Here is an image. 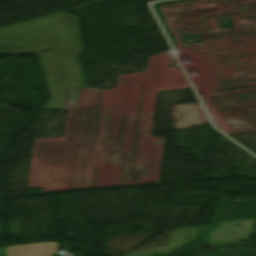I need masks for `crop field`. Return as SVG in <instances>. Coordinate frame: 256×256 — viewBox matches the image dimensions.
<instances>
[{"instance_id":"2","label":"crop field","mask_w":256,"mask_h":256,"mask_svg":"<svg viewBox=\"0 0 256 256\" xmlns=\"http://www.w3.org/2000/svg\"><path fill=\"white\" fill-rule=\"evenodd\" d=\"M57 242L7 247L8 256H52Z\"/></svg>"},{"instance_id":"1","label":"crop field","mask_w":256,"mask_h":256,"mask_svg":"<svg viewBox=\"0 0 256 256\" xmlns=\"http://www.w3.org/2000/svg\"><path fill=\"white\" fill-rule=\"evenodd\" d=\"M81 43L38 54L50 100L42 109H67L70 88H87L77 57Z\"/></svg>"},{"instance_id":"3","label":"crop field","mask_w":256,"mask_h":256,"mask_svg":"<svg viewBox=\"0 0 256 256\" xmlns=\"http://www.w3.org/2000/svg\"><path fill=\"white\" fill-rule=\"evenodd\" d=\"M0 256H5L4 248H0Z\"/></svg>"}]
</instances>
